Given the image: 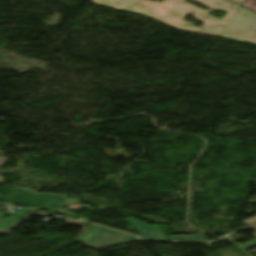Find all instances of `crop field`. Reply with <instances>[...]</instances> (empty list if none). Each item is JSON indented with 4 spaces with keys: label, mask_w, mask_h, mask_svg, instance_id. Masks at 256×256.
Returning <instances> with one entry per match:
<instances>
[{
    "label": "crop field",
    "mask_w": 256,
    "mask_h": 256,
    "mask_svg": "<svg viewBox=\"0 0 256 256\" xmlns=\"http://www.w3.org/2000/svg\"><path fill=\"white\" fill-rule=\"evenodd\" d=\"M194 1L211 8V10L203 11L184 2V0H163L162 3L149 0H92L91 2L121 10L142 13L175 28L216 36L222 34L240 7L230 0ZM218 10L228 11L225 18L219 20L208 15ZM188 14L196 16V19L205 23L201 28L192 26V22L184 21Z\"/></svg>",
    "instance_id": "8a807250"
},
{
    "label": "crop field",
    "mask_w": 256,
    "mask_h": 256,
    "mask_svg": "<svg viewBox=\"0 0 256 256\" xmlns=\"http://www.w3.org/2000/svg\"><path fill=\"white\" fill-rule=\"evenodd\" d=\"M65 196L53 193H37L34 190L17 187L10 196L0 195V200L59 213Z\"/></svg>",
    "instance_id": "ac0d7876"
},
{
    "label": "crop field",
    "mask_w": 256,
    "mask_h": 256,
    "mask_svg": "<svg viewBox=\"0 0 256 256\" xmlns=\"http://www.w3.org/2000/svg\"><path fill=\"white\" fill-rule=\"evenodd\" d=\"M221 36L256 44V13L240 7Z\"/></svg>",
    "instance_id": "34b2d1b8"
},
{
    "label": "crop field",
    "mask_w": 256,
    "mask_h": 256,
    "mask_svg": "<svg viewBox=\"0 0 256 256\" xmlns=\"http://www.w3.org/2000/svg\"><path fill=\"white\" fill-rule=\"evenodd\" d=\"M133 227H135L141 236L144 238H157V239H168L156 226L147 225L140 221H137L132 218H126ZM171 240H197V241H206L203 234L201 235H189V236H174L170 237Z\"/></svg>",
    "instance_id": "412701ff"
},
{
    "label": "crop field",
    "mask_w": 256,
    "mask_h": 256,
    "mask_svg": "<svg viewBox=\"0 0 256 256\" xmlns=\"http://www.w3.org/2000/svg\"><path fill=\"white\" fill-rule=\"evenodd\" d=\"M110 233H113V235H111ZM110 237L112 239H109ZM134 240H139V239H136L131 235L104 229L99 235H97L89 243L101 249V248H105V247H109V246H113V245H117L125 242H130Z\"/></svg>",
    "instance_id": "f4fd0767"
},
{
    "label": "crop field",
    "mask_w": 256,
    "mask_h": 256,
    "mask_svg": "<svg viewBox=\"0 0 256 256\" xmlns=\"http://www.w3.org/2000/svg\"><path fill=\"white\" fill-rule=\"evenodd\" d=\"M33 211H34V209H30L26 212L20 211L21 213L14 215L13 217H11L8 220L1 218L3 216V214H0V232L3 231L4 229H6L7 227L11 226L12 224L16 223L20 219L24 218L25 216H27L28 214H30Z\"/></svg>",
    "instance_id": "dd49c442"
},
{
    "label": "crop field",
    "mask_w": 256,
    "mask_h": 256,
    "mask_svg": "<svg viewBox=\"0 0 256 256\" xmlns=\"http://www.w3.org/2000/svg\"><path fill=\"white\" fill-rule=\"evenodd\" d=\"M104 228L92 225L86 232H84L78 239L89 242L92 240L98 233H100Z\"/></svg>",
    "instance_id": "e52e79f7"
},
{
    "label": "crop field",
    "mask_w": 256,
    "mask_h": 256,
    "mask_svg": "<svg viewBox=\"0 0 256 256\" xmlns=\"http://www.w3.org/2000/svg\"><path fill=\"white\" fill-rule=\"evenodd\" d=\"M253 236L256 238V229H255V231H254V233H253ZM254 245H256V239H253V240H251V241H248V242H245V243H243V244H240V246H241L243 249L248 248V247H251V246H254Z\"/></svg>",
    "instance_id": "d8731c3e"
},
{
    "label": "crop field",
    "mask_w": 256,
    "mask_h": 256,
    "mask_svg": "<svg viewBox=\"0 0 256 256\" xmlns=\"http://www.w3.org/2000/svg\"><path fill=\"white\" fill-rule=\"evenodd\" d=\"M243 5L256 11V0H245Z\"/></svg>",
    "instance_id": "5a996713"
},
{
    "label": "crop field",
    "mask_w": 256,
    "mask_h": 256,
    "mask_svg": "<svg viewBox=\"0 0 256 256\" xmlns=\"http://www.w3.org/2000/svg\"><path fill=\"white\" fill-rule=\"evenodd\" d=\"M254 184L256 185V182H255ZM254 221H256V216H254V217H252V218H250V219H247V220H245V221H243V222L246 223V224H248V223H251V222H254Z\"/></svg>",
    "instance_id": "3316defc"
},
{
    "label": "crop field",
    "mask_w": 256,
    "mask_h": 256,
    "mask_svg": "<svg viewBox=\"0 0 256 256\" xmlns=\"http://www.w3.org/2000/svg\"><path fill=\"white\" fill-rule=\"evenodd\" d=\"M8 158L6 157H0V167L6 162Z\"/></svg>",
    "instance_id": "28ad6ade"
},
{
    "label": "crop field",
    "mask_w": 256,
    "mask_h": 256,
    "mask_svg": "<svg viewBox=\"0 0 256 256\" xmlns=\"http://www.w3.org/2000/svg\"><path fill=\"white\" fill-rule=\"evenodd\" d=\"M233 1H235V2H237L238 4L242 5V3H243L244 0H233Z\"/></svg>",
    "instance_id": "d1516ede"
},
{
    "label": "crop field",
    "mask_w": 256,
    "mask_h": 256,
    "mask_svg": "<svg viewBox=\"0 0 256 256\" xmlns=\"http://www.w3.org/2000/svg\"><path fill=\"white\" fill-rule=\"evenodd\" d=\"M248 226L256 227V222H255V223H253V224H250V225H248Z\"/></svg>",
    "instance_id": "22f410ed"
},
{
    "label": "crop field",
    "mask_w": 256,
    "mask_h": 256,
    "mask_svg": "<svg viewBox=\"0 0 256 256\" xmlns=\"http://www.w3.org/2000/svg\"><path fill=\"white\" fill-rule=\"evenodd\" d=\"M2 204L0 203V206H1Z\"/></svg>",
    "instance_id": "cbeb9de0"
}]
</instances>
